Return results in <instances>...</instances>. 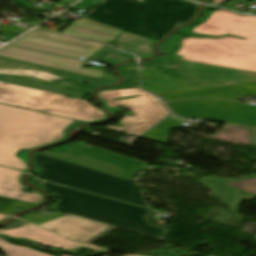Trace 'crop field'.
Masks as SVG:
<instances>
[{
	"label": "crop field",
	"instance_id": "1",
	"mask_svg": "<svg viewBox=\"0 0 256 256\" xmlns=\"http://www.w3.org/2000/svg\"><path fill=\"white\" fill-rule=\"evenodd\" d=\"M191 31L211 36L231 34L246 40L229 36L218 39L185 38L177 52L184 56L182 59L256 72V16L220 10Z\"/></svg>",
	"mask_w": 256,
	"mask_h": 256
},
{
	"label": "crop field",
	"instance_id": "2",
	"mask_svg": "<svg viewBox=\"0 0 256 256\" xmlns=\"http://www.w3.org/2000/svg\"><path fill=\"white\" fill-rule=\"evenodd\" d=\"M197 7L180 0H102L83 16L158 41L187 22Z\"/></svg>",
	"mask_w": 256,
	"mask_h": 256
},
{
	"label": "crop field",
	"instance_id": "3",
	"mask_svg": "<svg viewBox=\"0 0 256 256\" xmlns=\"http://www.w3.org/2000/svg\"><path fill=\"white\" fill-rule=\"evenodd\" d=\"M33 182L42 184L46 191L53 192L59 197L58 202L51 209L78 215L161 240L165 236L166 229L154 227L146 219L150 209L36 179H33Z\"/></svg>",
	"mask_w": 256,
	"mask_h": 256
},
{
	"label": "crop field",
	"instance_id": "4",
	"mask_svg": "<svg viewBox=\"0 0 256 256\" xmlns=\"http://www.w3.org/2000/svg\"><path fill=\"white\" fill-rule=\"evenodd\" d=\"M73 121L29 110L0 105V165L26 170L16 158L18 149H31L63 138Z\"/></svg>",
	"mask_w": 256,
	"mask_h": 256
},
{
	"label": "crop field",
	"instance_id": "5",
	"mask_svg": "<svg viewBox=\"0 0 256 256\" xmlns=\"http://www.w3.org/2000/svg\"><path fill=\"white\" fill-rule=\"evenodd\" d=\"M35 161L43 170L37 178L149 207L143 201L139 185L133 181L40 153L35 155Z\"/></svg>",
	"mask_w": 256,
	"mask_h": 256
},
{
	"label": "crop field",
	"instance_id": "6",
	"mask_svg": "<svg viewBox=\"0 0 256 256\" xmlns=\"http://www.w3.org/2000/svg\"><path fill=\"white\" fill-rule=\"evenodd\" d=\"M0 102L33 110H43L49 114L82 121L106 118L101 110L95 109L87 101L2 82H0Z\"/></svg>",
	"mask_w": 256,
	"mask_h": 256
},
{
	"label": "crop field",
	"instance_id": "7",
	"mask_svg": "<svg viewBox=\"0 0 256 256\" xmlns=\"http://www.w3.org/2000/svg\"><path fill=\"white\" fill-rule=\"evenodd\" d=\"M20 47L76 58L92 57L93 60L115 65L133 56L114 48L35 29L11 43Z\"/></svg>",
	"mask_w": 256,
	"mask_h": 256
},
{
	"label": "crop field",
	"instance_id": "8",
	"mask_svg": "<svg viewBox=\"0 0 256 256\" xmlns=\"http://www.w3.org/2000/svg\"><path fill=\"white\" fill-rule=\"evenodd\" d=\"M99 95L100 100H106L107 106L109 107L130 105L125 109L131 110L134 113L121 120L120 123L123 124L122 127L112 125H108L107 127L131 135L139 136L157 121L169 114L152 94L138 88L105 91L100 92ZM131 95L142 96L118 101L112 100L118 97Z\"/></svg>",
	"mask_w": 256,
	"mask_h": 256
},
{
	"label": "crop field",
	"instance_id": "9",
	"mask_svg": "<svg viewBox=\"0 0 256 256\" xmlns=\"http://www.w3.org/2000/svg\"><path fill=\"white\" fill-rule=\"evenodd\" d=\"M168 105L176 115L256 127V105L214 99H197Z\"/></svg>",
	"mask_w": 256,
	"mask_h": 256
},
{
	"label": "crop field",
	"instance_id": "10",
	"mask_svg": "<svg viewBox=\"0 0 256 256\" xmlns=\"http://www.w3.org/2000/svg\"><path fill=\"white\" fill-rule=\"evenodd\" d=\"M76 141L68 150L58 153L43 151V154L53 156L65 161L97 169L113 175L132 180L136 169L145 163L121 156L111 151Z\"/></svg>",
	"mask_w": 256,
	"mask_h": 256
},
{
	"label": "crop field",
	"instance_id": "11",
	"mask_svg": "<svg viewBox=\"0 0 256 256\" xmlns=\"http://www.w3.org/2000/svg\"><path fill=\"white\" fill-rule=\"evenodd\" d=\"M0 56L50 68H57L65 71L92 76L112 82L117 81L116 76L107 74L101 70L92 68H80L83 63L82 61L38 53L10 45H7L4 48L0 49Z\"/></svg>",
	"mask_w": 256,
	"mask_h": 256
},
{
	"label": "crop field",
	"instance_id": "12",
	"mask_svg": "<svg viewBox=\"0 0 256 256\" xmlns=\"http://www.w3.org/2000/svg\"><path fill=\"white\" fill-rule=\"evenodd\" d=\"M237 179H222L217 176L201 179L205 185L211 188L216 197L229 206L228 210L238 212L242 199L251 200L256 197V175Z\"/></svg>",
	"mask_w": 256,
	"mask_h": 256
},
{
	"label": "crop field",
	"instance_id": "13",
	"mask_svg": "<svg viewBox=\"0 0 256 256\" xmlns=\"http://www.w3.org/2000/svg\"><path fill=\"white\" fill-rule=\"evenodd\" d=\"M174 70L191 82L227 81L231 84L256 81V73L180 60Z\"/></svg>",
	"mask_w": 256,
	"mask_h": 256
},
{
	"label": "crop field",
	"instance_id": "14",
	"mask_svg": "<svg viewBox=\"0 0 256 256\" xmlns=\"http://www.w3.org/2000/svg\"><path fill=\"white\" fill-rule=\"evenodd\" d=\"M39 226L70 240L84 242L109 225L70 215Z\"/></svg>",
	"mask_w": 256,
	"mask_h": 256
},
{
	"label": "crop field",
	"instance_id": "15",
	"mask_svg": "<svg viewBox=\"0 0 256 256\" xmlns=\"http://www.w3.org/2000/svg\"><path fill=\"white\" fill-rule=\"evenodd\" d=\"M0 70H2V71L9 70V71H18V72L28 71V72L41 73V74L47 75L51 78L61 77L59 74H56L54 69L41 67V66H37V65H33V64H28V63H24V62H19V61H15V60H10V59H6V58H2V57H0ZM0 74L19 78V79H24V80H28V81H32V82L43 83V84H48V85H53V86H59V87L72 89V90L81 91L83 89V87H81L77 84L70 83V82H66V81L52 82L47 79L33 76L30 74L16 75V74L8 73V72H0Z\"/></svg>",
	"mask_w": 256,
	"mask_h": 256
},
{
	"label": "crop field",
	"instance_id": "16",
	"mask_svg": "<svg viewBox=\"0 0 256 256\" xmlns=\"http://www.w3.org/2000/svg\"><path fill=\"white\" fill-rule=\"evenodd\" d=\"M140 73L142 76V82L140 84V87H143L155 94L227 84V83L190 84L184 79H181V80L173 79L169 75H162L159 73V71H156V70H140Z\"/></svg>",
	"mask_w": 256,
	"mask_h": 256
},
{
	"label": "crop field",
	"instance_id": "17",
	"mask_svg": "<svg viewBox=\"0 0 256 256\" xmlns=\"http://www.w3.org/2000/svg\"><path fill=\"white\" fill-rule=\"evenodd\" d=\"M121 32L122 30L82 17L61 33L108 43Z\"/></svg>",
	"mask_w": 256,
	"mask_h": 256
},
{
	"label": "crop field",
	"instance_id": "18",
	"mask_svg": "<svg viewBox=\"0 0 256 256\" xmlns=\"http://www.w3.org/2000/svg\"><path fill=\"white\" fill-rule=\"evenodd\" d=\"M21 174V171L0 167V195L29 203H40L43 199L40 193L25 194L19 191L23 187L19 182Z\"/></svg>",
	"mask_w": 256,
	"mask_h": 256
},
{
	"label": "crop field",
	"instance_id": "19",
	"mask_svg": "<svg viewBox=\"0 0 256 256\" xmlns=\"http://www.w3.org/2000/svg\"><path fill=\"white\" fill-rule=\"evenodd\" d=\"M9 232L15 233L32 241L54 247L77 250L83 246H87L83 244L69 242L58 235L42 230L34 225L10 230Z\"/></svg>",
	"mask_w": 256,
	"mask_h": 256
},
{
	"label": "crop field",
	"instance_id": "20",
	"mask_svg": "<svg viewBox=\"0 0 256 256\" xmlns=\"http://www.w3.org/2000/svg\"><path fill=\"white\" fill-rule=\"evenodd\" d=\"M236 89L231 85L204 88L197 90L181 91L160 94L165 101L182 100L198 97L221 98L237 100L241 94L234 93Z\"/></svg>",
	"mask_w": 256,
	"mask_h": 256
},
{
	"label": "crop field",
	"instance_id": "21",
	"mask_svg": "<svg viewBox=\"0 0 256 256\" xmlns=\"http://www.w3.org/2000/svg\"><path fill=\"white\" fill-rule=\"evenodd\" d=\"M154 41H150L147 38L134 35L123 31L117 36L116 46L117 48L135 53L139 56H150L152 55V44Z\"/></svg>",
	"mask_w": 256,
	"mask_h": 256
},
{
	"label": "crop field",
	"instance_id": "22",
	"mask_svg": "<svg viewBox=\"0 0 256 256\" xmlns=\"http://www.w3.org/2000/svg\"><path fill=\"white\" fill-rule=\"evenodd\" d=\"M183 121L174 118L172 115L166 118L159 125L145 133L142 138L150 139L153 141L165 143L167 142L169 129L178 128L182 126Z\"/></svg>",
	"mask_w": 256,
	"mask_h": 256
},
{
	"label": "crop field",
	"instance_id": "23",
	"mask_svg": "<svg viewBox=\"0 0 256 256\" xmlns=\"http://www.w3.org/2000/svg\"><path fill=\"white\" fill-rule=\"evenodd\" d=\"M0 247L8 256H51L29 248L15 246L0 239Z\"/></svg>",
	"mask_w": 256,
	"mask_h": 256
},
{
	"label": "crop field",
	"instance_id": "24",
	"mask_svg": "<svg viewBox=\"0 0 256 256\" xmlns=\"http://www.w3.org/2000/svg\"><path fill=\"white\" fill-rule=\"evenodd\" d=\"M62 216H65V215H61V214H46V213L40 212L37 215L29 214V215H24V216H22L20 218L39 225L41 223H44V222H47L49 220H52V219H55V218H58V217H62Z\"/></svg>",
	"mask_w": 256,
	"mask_h": 256
},
{
	"label": "crop field",
	"instance_id": "25",
	"mask_svg": "<svg viewBox=\"0 0 256 256\" xmlns=\"http://www.w3.org/2000/svg\"><path fill=\"white\" fill-rule=\"evenodd\" d=\"M138 81V72L137 70L133 71L132 73L129 74V76L123 80V84L120 86L116 87H111V88H106V89H101L102 91L105 90H113V89H120V88H133L135 87L133 84H136Z\"/></svg>",
	"mask_w": 256,
	"mask_h": 256
},
{
	"label": "crop field",
	"instance_id": "26",
	"mask_svg": "<svg viewBox=\"0 0 256 256\" xmlns=\"http://www.w3.org/2000/svg\"><path fill=\"white\" fill-rule=\"evenodd\" d=\"M150 61L160 65L161 67H167V68L172 69V67L179 61V59L172 57V56H164V57H157V58L151 59ZM155 61H157L165 66H163Z\"/></svg>",
	"mask_w": 256,
	"mask_h": 256
},
{
	"label": "crop field",
	"instance_id": "27",
	"mask_svg": "<svg viewBox=\"0 0 256 256\" xmlns=\"http://www.w3.org/2000/svg\"><path fill=\"white\" fill-rule=\"evenodd\" d=\"M242 94L256 95V82L233 85Z\"/></svg>",
	"mask_w": 256,
	"mask_h": 256
},
{
	"label": "crop field",
	"instance_id": "28",
	"mask_svg": "<svg viewBox=\"0 0 256 256\" xmlns=\"http://www.w3.org/2000/svg\"><path fill=\"white\" fill-rule=\"evenodd\" d=\"M16 205H19L22 208H30L32 206H34V204H29V203H24V202H20V201H14L4 207L0 208V213H5V214H11L9 213L13 207H15Z\"/></svg>",
	"mask_w": 256,
	"mask_h": 256
},
{
	"label": "crop field",
	"instance_id": "29",
	"mask_svg": "<svg viewBox=\"0 0 256 256\" xmlns=\"http://www.w3.org/2000/svg\"><path fill=\"white\" fill-rule=\"evenodd\" d=\"M27 225H31V224L19 219L17 222H15V223L7 226V227H3L6 230H0V234H7V235H9L11 237H19V236L15 235V234L7 232V230L18 228V227H22V226H27Z\"/></svg>",
	"mask_w": 256,
	"mask_h": 256
},
{
	"label": "crop field",
	"instance_id": "30",
	"mask_svg": "<svg viewBox=\"0 0 256 256\" xmlns=\"http://www.w3.org/2000/svg\"><path fill=\"white\" fill-rule=\"evenodd\" d=\"M135 69H137V67L135 65V62L132 61L129 63L128 66H122L118 70L121 72L123 78L125 79L128 76V74Z\"/></svg>",
	"mask_w": 256,
	"mask_h": 256
},
{
	"label": "crop field",
	"instance_id": "31",
	"mask_svg": "<svg viewBox=\"0 0 256 256\" xmlns=\"http://www.w3.org/2000/svg\"><path fill=\"white\" fill-rule=\"evenodd\" d=\"M115 228L116 227L110 226V227L106 228L105 230L99 232L98 234H96L95 236H93L92 238H90L89 240H87L84 243L90 244V243L94 242L95 240L99 239L100 237H102L103 235L107 234L108 232L112 231Z\"/></svg>",
	"mask_w": 256,
	"mask_h": 256
},
{
	"label": "crop field",
	"instance_id": "32",
	"mask_svg": "<svg viewBox=\"0 0 256 256\" xmlns=\"http://www.w3.org/2000/svg\"><path fill=\"white\" fill-rule=\"evenodd\" d=\"M13 201V199L5 198L0 196V207Z\"/></svg>",
	"mask_w": 256,
	"mask_h": 256
},
{
	"label": "crop field",
	"instance_id": "33",
	"mask_svg": "<svg viewBox=\"0 0 256 256\" xmlns=\"http://www.w3.org/2000/svg\"><path fill=\"white\" fill-rule=\"evenodd\" d=\"M13 73H16V74H27L28 72H25V73L13 72ZM30 74L37 75V76H41V77H44V78H48L47 76H42V75H40V74H34V73H30ZM48 79H50V78H48ZM50 80H52V79H50Z\"/></svg>",
	"mask_w": 256,
	"mask_h": 256
},
{
	"label": "crop field",
	"instance_id": "34",
	"mask_svg": "<svg viewBox=\"0 0 256 256\" xmlns=\"http://www.w3.org/2000/svg\"><path fill=\"white\" fill-rule=\"evenodd\" d=\"M7 218H8V216L0 215V222L7 219Z\"/></svg>",
	"mask_w": 256,
	"mask_h": 256
},
{
	"label": "crop field",
	"instance_id": "35",
	"mask_svg": "<svg viewBox=\"0 0 256 256\" xmlns=\"http://www.w3.org/2000/svg\"><path fill=\"white\" fill-rule=\"evenodd\" d=\"M223 0H213V4H218V3H220V2H222Z\"/></svg>",
	"mask_w": 256,
	"mask_h": 256
},
{
	"label": "crop field",
	"instance_id": "36",
	"mask_svg": "<svg viewBox=\"0 0 256 256\" xmlns=\"http://www.w3.org/2000/svg\"><path fill=\"white\" fill-rule=\"evenodd\" d=\"M159 102L164 106V104L161 102V100H159ZM164 107H165V106H164ZM165 108H166V107H165ZM165 108H164V109H165ZM166 109H167V108H166ZM168 110H169V109H168ZM168 110H167V111H168ZM169 111H170V110H169ZM169 111H168V112H169ZM169 113H170V112H169Z\"/></svg>",
	"mask_w": 256,
	"mask_h": 256
},
{
	"label": "crop field",
	"instance_id": "37",
	"mask_svg": "<svg viewBox=\"0 0 256 256\" xmlns=\"http://www.w3.org/2000/svg\"><path fill=\"white\" fill-rule=\"evenodd\" d=\"M87 248H89V247H87ZM91 249H94V248H91ZM96 250H100V249H96ZM101 251H104V250H101Z\"/></svg>",
	"mask_w": 256,
	"mask_h": 256
},
{
	"label": "crop field",
	"instance_id": "38",
	"mask_svg": "<svg viewBox=\"0 0 256 256\" xmlns=\"http://www.w3.org/2000/svg\"><path fill=\"white\" fill-rule=\"evenodd\" d=\"M128 256H134V255L130 254V255H128Z\"/></svg>",
	"mask_w": 256,
	"mask_h": 256
},
{
	"label": "crop field",
	"instance_id": "39",
	"mask_svg": "<svg viewBox=\"0 0 256 256\" xmlns=\"http://www.w3.org/2000/svg\"><path fill=\"white\" fill-rule=\"evenodd\" d=\"M194 1H198V2H200V0H194Z\"/></svg>",
	"mask_w": 256,
	"mask_h": 256
},
{
	"label": "crop field",
	"instance_id": "40",
	"mask_svg": "<svg viewBox=\"0 0 256 256\" xmlns=\"http://www.w3.org/2000/svg\"><path fill=\"white\" fill-rule=\"evenodd\" d=\"M64 256H66V255H64Z\"/></svg>",
	"mask_w": 256,
	"mask_h": 256
},
{
	"label": "crop field",
	"instance_id": "41",
	"mask_svg": "<svg viewBox=\"0 0 256 256\" xmlns=\"http://www.w3.org/2000/svg\"><path fill=\"white\" fill-rule=\"evenodd\" d=\"M256 168V167H255Z\"/></svg>",
	"mask_w": 256,
	"mask_h": 256
}]
</instances>
